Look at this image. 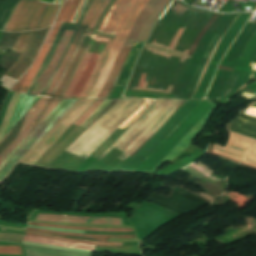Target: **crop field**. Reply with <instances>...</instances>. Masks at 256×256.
I'll return each mask as SVG.
<instances>
[{
    "label": "crop field",
    "instance_id": "crop-field-1",
    "mask_svg": "<svg viewBox=\"0 0 256 256\" xmlns=\"http://www.w3.org/2000/svg\"><path fill=\"white\" fill-rule=\"evenodd\" d=\"M145 100H119L63 153L90 155L124 121L133 115ZM182 101L155 100L146 113L100 156L128 157L175 111Z\"/></svg>",
    "mask_w": 256,
    "mask_h": 256
},
{
    "label": "crop field",
    "instance_id": "crop-field-2",
    "mask_svg": "<svg viewBox=\"0 0 256 256\" xmlns=\"http://www.w3.org/2000/svg\"><path fill=\"white\" fill-rule=\"evenodd\" d=\"M38 1L18 0L4 31H26L34 26L44 28L50 25L59 7L37 4ZM31 33H2L0 48L5 52L7 49L19 52L21 54L18 59L32 62L44 36Z\"/></svg>",
    "mask_w": 256,
    "mask_h": 256
},
{
    "label": "crop field",
    "instance_id": "crop-field-3",
    "mask_svg": "<svg viewBox=\"0 0 256 256\" xmlns=\"http://www.w3.org/2000/svg\"><path fill=\"white\" fill-rule=\"evenodd\" d=\"M148 0H131L124 9L109 41L123 44L137 15ZM107 42L99 61L80 97H96L119 50L121 44Z\"/></svg>",
    "mask_w": 256,
    "mask_h": 256
},
{
    "label": "crop field",
    "instance_id": "crop-field-4",
    "mask_svg": "<svg viewBox=\"0 0 256 256\" xmlns=\"http://www.w3.org/2000/svg\"><path fill=\"white\" fill-rule=\"evenodd\" d=\"M110 1L111 0H94L92 2L46 96L61 97L83 51Z\"/></svg>",
    "mask_w": 256,
    "mask_h": 256
},
{
    "label": "crop field",
    "instance_id": "crop-field-5",
    "mask_svg": "<svg viewBox=\"0 0 256 256\" xmlns=\"http://www.w3.org/2000/svg\"><path fill=\"white\" fill-rule=\"evenodd\" d=\"M130 0H113L111 2V4L108 6L74 76L72 77L63 97H68L77 78H78V75L89 55L88 51L94 41L95 38H99V39H105V40H108L113 28L115 27L123 9L125 8V6L128 4ZM99 58V55H95V54H90L71 94L69 97H79L87 79L89 78L97 60Z\"/></svg>",
    "mask_w": 256,
    "mask_h": 256
},
{
    "label": "crop field",
    "instance_id": "crop-field-6",
    "mask_svg": "<svg viewBox=\"0 0 256 256\" xmlns=\"http://www.w3.org/2000/svg\"><path fill=\"white\" fill-rule=\"evenodd\" d=\"M92 1L93 0H88L87 1V3H86V5H85V7H84V9H83V11H82V13H81V15H80V17H79V19H78L76 24L62 23V25H61V27H60V29H59V31H58V33H57L53 43H52V45H51V47H50V49H49V51H48V53H47L43 63H42V65H41V67H40V69H39V71H38V73H37L33 83H32V85H31V87H30V89L28 91V93H30V91H31L35 81L40 76V74L47 68V66H48V64H49V62L51 60V57H52V55H53V53H54V51H55V49H56V47H57V45H58V43L60 41V38H61L64 30L66 28L76 29V31H75V33H74V35H73V37H72V39H71V41H70V43L68 45V47H67L63 57H62L59 65L57 66V64H58V62H59V60H60V58H61V56H62V54H63V52H64V50H65V48H66V46L68 44V42H69V40H70V38H71V36H72V34L74 32V30L66 29V31L64 32V34L62 36V39H61V41L59 43V46H58V48H57V50H56V52H55V54H54V56H53V58H52V60L50 62L48 68L42 73V75L36 81L32 91H31L32 94L39 95L42 92L43 88L45 87L46 83L48 82L49 78L51 77L53 71L55 70V68L57 66L56 70L54 71L52 77L50 78V80L47 83L46 87L44 88L43 92L40 94L42 96H45V94H46V92H47V90H48V88H49V86H50V84H51V82H52V80H53V78H54V76H55V74H56V72H57V70H58V68H59V66H60V64H61V62H62V60H63V58H64V56H65V54H66V52H67V50H68V48H69V46H70V44H71V42H72V40H73V38H74V36H75V34H76V32H77V30H78V28H79V26H80V24H81V22H82V20H83V18H84V16H85V14H86V12H87V10H88V8H89V6H90Z\"/></svg>",
    "mask_w": 256,
    "mask_h": 256
},
{
    "label": "crop field",
    "instance_id": "crop-field-7",
    "mask_svg": "<svg viewBox=\"0 0 256 256\" xmlns=\"http://www.w3.org/2000/svg\"><path fill=\"white\" fill-rule=\"evenodd\" d=\"M159 0H149V2L146 4V6L143 8L141 13L139 14L132 30L130 31L125 43L123 46L131 48L134 40L144 23L146 17L149 15V13L152 11V9L155 7V5L158 3ZM170 0H160L159 3L156 5V7L153 9V11L150 13V15L147 17L137 39L135 42L145 41L155 19L158 17V15L161 13V11L164 9V7L167 5V3ZM123 47L115 64L113 65L98 97H106L123 62L125 61L130 49Z\"/></svg>",
    "mask_w": 256,
    "mask_h": 256
},
{
    "label": "crop field",
    "instance_id": "crop-field-8",
    "mask_svg": "<svg viewBox=\"0 0 256 256\" xmlns=\"http://www.w3.org/2000/svg\"><path fill=\"white\" fill-rule=\"evenodd\" d=\"M210 101L203 102L210 103ZM210 104L200 102L137 169L153 170L163 160V158L182 140V138L201 120V118L213 107L214 104ZM215 108L216 105L206 114V116L200 121V123L206 124L209 116L215 110Z\"/></svg>",
    "mask_w": 256,
    "mask_h": 256
},
{
    "label": "crop field",
    "instance_id": "crop-field-9",
    "mask_svg": "<svg viewBox=\"0 0 256 256\" xmlns=\"http://www.w3.org/2000/svg\"><path fill=\"white\" fill-rule=\"evenodd\" d=\"M60 101L41 98L3 137L0 141V164Z\"/></svg>",
    "mask_w": 256,
    "mask_h": 256
},
{
    "label": "crop field",
    "instance_id": "crop-field-10",
    "mask_svg": "<svg viewBox=\"0 0 256 256\" xmlns=\"http://www.w3.org/2000/svg\"><path fill=\"white\" fill-rule=\"evenodd\" d=\"M94 100H78L20 161L33 165Z\"/></svg>",
    "mask_w": 256,
    "mask_h": 256
},
{
    "label": "crop field",
    "instance_id": "crop-field-11",
    "mask_svg": "<svg viewBox=\"0 0 256 256\" xmlns=\"http://www.w3.org/2000/svg\"><path fill=\"white\" fill-rule=\"evenodd\" d=\"M256 31V23H252V22H247V24L245 25V27L243 28L242 32L239 34V36L237 37V39L233 42L232 46L230 47V49L227 51V53L225 54L224 58L221 61V65H227V66H232L234 67L245 44L248 42V40L252 37V35L255 33ZM225 71L223 70H217L216 75L214 77V80L211 84V87L209 89L208 94L206 95L205 99H211L223 74ZM231 72L226 71L213 98L212 99H218L229 76H230Z\"/></svg>",
    "mask_w": 256,
    "mask_h": 256
},
{
    "label": "crop field",
    "instance_id": "crop-field-12",
    "mask_svg": "<svg viewBox=\"0 0 256 256\" xmlns=\"http://www.w3.org/2000/svg\"><path fill=\"white\" fill-rule=\"evenodd\" d=\"M80 1L81 0H66V2L64 3V5H63V7H62V9H61V11H60L56 21L70 22L72 17H73V15H74V13H75V11H76V9H77V7H78V5H79V3H80ZM56 23L57 22H54V24H53V26H52V28H51V30H50V32H49L45 42H44L45 44L47 43V41H48V39H49V37H50V35H51V33H52ZM60 25H61V23L58 22L56 27H55V29H54V31H53V33H52V35H51V37H50V39H49V41H48V43H47V45L43 44V46H42V48H41V50H40V52H39V54H38L34 64L32 65V67L30 69V71L28 70L29 73L27 71L15 83V85L12 87L11 90L19 91V89H20V87H21V85H22V83H23V81H24V79H25V77H26V75L28 73V75H27V77H26V79H25V81H24V83H23V85H22V87L20 89L21 92L27 93V91H28V89H29V87H30V85H31V83H32V81H33V79H34V77H35V75H36V73H37V71H38V69H39V67H40V65H41V63H42V61H43V59H44V57H45V55H46L50 45H51V43H52V41H53V39H54V37L56 35V33H57V31H58V29H59V27H60Z\"/></svg>",
    "mask_w": 256,
    "mask_h": 256
},
{
    "label": "crop field",
    "instance_id": "crop-field-13",
    "mask_svg": "<svg viewBox=\"0 0 256 256\" xmlns=\"http://www.w3.org/2000/svg\"><path fill=\"white\" fill-rule=\"evenodd\" d=\"M200 101H187L121 171H134Z\"/></svg>",
    "mask_w": 256,
    "mask_h": 256
},
{
    "label": "crop field",
    "instance_id": "crop-field-14",
    "mask_svg": "<svg viewBox=\"0 0 256 256\" xmlns=\"http://www.w3.org/2000/svg\"><path fill=\"white\" fill-rule=\"evenodd\" d=\"M255 143H256L255 140H252L247 137L231 132V139L227 144V146L223 147V146L214 144L212 151L218 154L224 155L226 157L240 161L243 158V156L247 153L249 148L253 146ZM212 145L213 144L210 143L209 149L207 152L218 155L216 153L211 152ZM221 155H218V156H221ZM224 156H221V157H224ZM229 158H226V159H229ZM232 159H229V160H232ZM232 161H235V160H232ZM239 161H235V162L240 163ZM243 163L256 167V145L248 152L247 156L243 160ZM243 163L241 164L248 166L250 168L256 169L255 167H252Z\"/></svg>",
    "mask_w": 256,
    "mask_h": 256
},
{
    "label": "crop field",
    "instance_id": "crop-field-15",
    "mask_svg": "<svg viewBox=\"0 0 256 256\" xmlns=\"http://www.w3.org/2000/svg\"><path fill=\"white\" fill-rule=\"evenodd\" d=\"M250 14L246 15H240V17L237 19V21L234 23V25L231 27V29L228 31V33L223 38L214 58L212 59L204 77L202 78L193 98L202 99L211 80L214 75V72L216 70L217 64L220 60V58L225 53L226 49L232 42V40L235 38V36L238 34L240 29L243 27L245 22L247 21Z\"/></svg>",
    "mask_w": 256,
    "mask_h": 256
},
{
    "label": "crop field",
    "instance_id": "crop-field-16",
    "mask_svg": "<svg viewBox=\"0 0 256 256\" xmlns=\"http://www.w3.org/2000/svg\"><path fill=\"white\" fill-rule=\"evenodd\" d=\"M36 220L50 221V222L95 223V224L123 225L121 219L53 216V215H43V214H38Z\"/></svg>",
    "mask_w": 256,
    "mask_h": 256
},
{
    "label": "crop field",
    "instance_id": "crop-field-17",
    "mask_svg": "<svg viewBox=\"0 0 256 256\" xmlns=\"http://www.w3.org/2000/svg\"><path fill=\"white\" fill-rule=\"evenodd\" d=\"M251 73L234 69L220 98L227 100L231 97L243 84L247 83Z\"/></svg>",
    "mask_w": 256,
    "mask_h": 256
},
{
    "label": "crop field",
    "instance_id": "crop-field-18",
    "mask_svg": "<svg viewBox=\"0 0 256 256\" xmlns=\"http://www.w3.org/2000/svg\"><path fill=\"white\" fill-rule=\"evenodd\" d=\"M103 100L104 99L95 100L94 103L90 106V108L77 119L74 125L80 126ZM111 100L112 99H105L100 104V106L87 118V120L81 125V127L86 128L95 119V117L109 104Z\"/></svg>",
    "mask_w": 256,
    "mask_h": 256
},
{
    "label": "crop field",
    "instance_id": "crop-field-19",
    "mask_svg": "<svg viewBox=\"0 0 256 256\" xmlns=\"http://www.w3.org/2000/svg\"><path fill=\"white\" fill-rule=\"evenodd\" d=\"M24 240L36 242V243H43V244H50V245H57V246H63V247L85 249V250H94L95 249V245L75 244V243L47 240V239H41V238H35V237H29V236H25Z\"/></svg>",
    "mask_w": 256,
    "mask_h": 256
},
{
    "label": "crop field",
    "instance_id": "crop-field-20",
    "mask_svg": "<svg viewBox=\"0 0 256 256\" xmlns=\"http://www.w3.org/2000/svg\"><path fill=\"white\" fill-rule=\"evenodd\" d=\"M30 64L16 61L4 74V77L17 80L28 68Z\"/></svg>",
    "mask_w": 256,
    "mask_h": 256
},
{
    "label": "crop field",
    "instance_id": "crop-field-21",
    "mask_svg": "<svg viewBox=\"0 0 256 256\" xmlns=\"http://www.w3.org/2000/svg\"><path fill=\"white\" fill-rule=\"evenodd\" d=\"M240 58L256 62V33L247 43Z\"/></svg>",
    "mask_w": 256,
    "mask_h": 256
},
{
    "label": "crop field",
    "instance_id": "crop-field-22",
    "mask_svg": "<svg viewBox=\"0 0 256 256\" xmlns=\"http://www.w3.org/2000/svg\"><path fill=\"white\" fill-rule=\"evenodd\" d=\"M26 230H30V231H39V232H50V233L64 234V235L96 237V238H136L135 235H130V236H105V235L71 234V233H65V232L47 231V230L32 229V228H27Z\"/></svg>",
    "mask_w": 256,
    "mask_h": 256
},
{
    "label": "crop field",
    "instance_id": "crop-field-23",
    "mask_svg": "<svg viewBox=\"0 0 256 256\" xmlns=\"http://www.w3.org/2000/svg\"><path fill=\"white\" fill-rule=\"evenodd\" d=\"M25 235L48 238V239H57V240H66V241H74V242L91 243V244H96V245H122V243H101V242L70 240V239L55 238V237H49V236H43V235H37V234H29V233H26Z\"/></svg>",
    "mask_w": 256,
    "mask_h": 256
},
{
    "label": "crop field",
    "instance_id": "crop-field-24",
    "mask_svg": "<svg viewBox=\"0 0 256 256\" xmlns=\"http://www.w3.org/2000/svg\"><path fill=\"white\" fill-rule=\"evenodd\" d=\"M30 224H32V223H30ZM32 225L47 226V227H56V228L80 229V230H96V231H134L133 229L75 228V227L52 226V225H44V224H32Z\"/></svg>",
    "mask_w": 256,
    "mask_h": 256
},
{
    "label": "crop field",
    "instance_id": "crop-field-25",
    "mask_svg": "<svg viewBox=\"0 0 256 256\" xmlns=\"http://www.w3.org/2000/svg\"><path fill=\"white\" fill-rule=\"evenodd\" d=\"M0 253L22 254L20 246H0Z\"/></svg>",
    "mask_w": 256,
    "mask_h": 256
},
{
    "label": "crop field",
    "instance_id": "crop-field-26",
    "mask_svg": "<svg viewBox=\"0 0 256 256\" xmlns=\"http://www.w3.org/2000/svg\"><path fill=\"white\" fill-rule=\"evenodd\" d=\"M86 1H87V0H83V1L80 3V5H79V7H78V10H77V12H76V14H75V16H74L75 19H76L78 13L81 11V9L84 7ZM75 19L72 20L73 23H74Z\"/></svg>",
    "mask_w": 256,
    "mask_h": 256
},
{
    "label": "crop field",
    "instance_id": "crop-field-27",
    "mask_svg": "<svg viewBox=\"0 0 256 256\" xmlns=\"http://www.w3.org/2000/svg\"><path fill=\"white\" fill-rule=\"evenodd\" d=\"M53 0H40L39 3L51 4ZM38 3V2H37Z\"/></svg>",
    "mask_w": 256,
    "mask_h": 256
},
{
    "label": "crop field",
    "instance_id": "crop-field-28",
    "mask_svg": "<svg viewBox=\"0 0 256 256\" xmlns=\"http://www.w3.org/2000/svg\"><path fill=\"white\" fill-rule=\"evenodd\" d=\"M251 99L256 100V95L253 98H251Z\"/></svg>",
    "mask_w": 256,
    "mask_h": 256
}]
</instances>
